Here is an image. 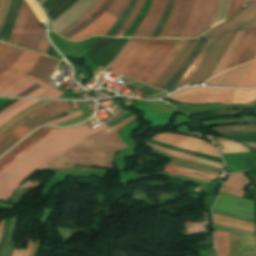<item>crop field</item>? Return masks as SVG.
<instances>
[{"instance_id":"obj_36","label":"crop field","mask_w":256,"mask_h":256,"mask_svg":"<svg viewBox=\"0 0 256 256\" xmlns=\"http://www.w3.org/2000/svg\"><path fill=\"white\" fill-rule=\"evenodd\" d=\"M172 104L185 110L188 114L200 113L202 111H210V110L221 108V105H218V104H210V105H185V104H177V103H172Z\"/></svg>"},{"instance_id":"obj_41","label":"crop field","mask_w":256,"mask_h":256,"mask_svg":"<svg viewBox=\"0 0 256 256\" xmlns=\"http://www.w3.org/2000/svg\"><path fill=\"white\" fill-rule=\"evenodd\" d=\"M229 2H230V0H220L219 8L217 10L212 28L215 27L216 25L224 22L226 14H227V10H228Z\"/></svg>"},{"instance_id":"obj_11","label":"crop field","mask_w":256,"mask_h":256,"mask_svg":"<svg viewBox=\"0 0 256 256\" xmlns=\"http://www.w3.org/2000/svg\"><path fill=\"white\" fill-rule=\"evenodd\" d=\"M151 140L220 157L217 150L210 143L188 136L159 133L151 138Z\"/></svg>"},{"instance_id":"obj_65","label":"crop field","mask_w":256,"mask_h":256,"mask_svg":"<svg viewBox=\"0 0 256 256\" xmlns=\"http://www.w3.org/2000/svg\"><path fill=\"white\" fill-rule=\"evenodd\" d=\"M3 221H4V220H2V221L0 222V237H1V232H2V228H3Z\"/></svg>"},{"instance_id":"obj_33","label":"crop field","mask_w":256,"mask_h":256,"mask_svg":"<svg viewBox=\"0 0 256 256\" xmlns=\"http://www.w3.org/2000/svg\"><path fill=\"white\" fill-rule=\"evenodd\" d=\"M33 82L27 80L26 78H22L20 81L9 87L8 89L4 90L0 93L1 96H16L22 91L26 90L30 86H32Z\"/></svg>"},{"instance_id":"obj_5","label":"crop field","mask_w":256,"mask_h":256,"mask_svg":"<svg viewBox=\"0 0 256 256\" xmlns=\"http://www.w3.org/2000/svg\"><path fill=\"white\" fill-rule=\"evenodd\" d=\"M40 54L12 47L0 60V92L26 75Z\"/></svg>"},{"instance_id":"obj_58","label":"crop field","mask_w":256,"mask_h":256,"mask_svg":"<svg viewBox=\"0 0 256 256\" xmlns=\"http://www.w3.org/2000/svg\"><path fill=\"white\" fill-rule=\"evenodd\" d=\"M222 108H234V109H239V108H243V109H256V107H252V106H222Z\"/></svg>"},{"instance_id":"obj_20","label":"crop field","mask_w":256,"mask_h":256,"mask_svg":"<svg viewBox=\"0 0 256 256\" xmlns=\"http://www.w3.org/2000/svg\"><path fill=\"white\" fill-rule=\"evenodd\" d=\"M57 64L58 61H54L52 58L42 55L29 75L48 83L50 81L48 77L56 68Z\"/></svg>"},{"instance_id":"obj_39","label":"crop field","mask_w":256,"mask_h":256,"mask_svg":"<svg viewBox=\"0 0 256 256\" xmlns=\"http://www.w3.org/2000/svg\"><path fill=\"white\" fill-rule=\"evenodd\" d=\"M50 101H47V100H41L33 105H31L30 107L20 111L19 113H17L14 117H12L9 121H7L5 124H3L1 127H0V133L5 130L6 128H8L10 125H12L14 122H16L18 119H20L24 114L34 110L35 108L41 106V105H44L46 103H48Z\"/></svg>"},{"instance_id":"obj_67","label":"crop field","mask_w":256,"mask_h":256,"mask_svg":"<svg viewBox=\"0 0 256 256\" xmlns=\"http://www.w3.org/2000/svg\"><path fill=\"white\" fill-rule=\"evenodd\" d=\"M23 252H24L23 250H20L18 256H22Z\"/></svg>"},{"instance_id":"obj_31","label":"crop field","mask_w":256,"mask_h":256,"mask_svg":"<svg viewBox=\"0 0 256 256\" xmlns=\"http://www.w3.org/2000/svg\"><path fill=\"white\" fill-rule=\"evenodd\" d=\"M242 33H243V31H237L235 37L233 38L232 42L230 43V45H229L227 51L225 52L223 58L221 57L222 58L221 61L218 63V65L212 71L210 77L220 73V71L223 68L224 64L226 63V61L228 60L229 56L231 55V53L233 52L234 48L236 47V45H237V43H238Z\"/></svg>"},{"instance_id":"obj_2","label":"crop field","mask_w":256,"mask_h":256,"mask_svg":"<svg viewBox=\"0 0 256 256\" xmlns=\"http://www.w3.org/2000/svg\"><path fill=\"white\" fill-rule=\"evenodd\" d=\"M127 147L119 137L111 130L90 137L70 149L57 158L51 160L40 170L46 167L66 169L73 166L64 165H91L113 169L112 156L119 150Z\"/></svg>"},{"instance_id":"obj_60","label":"crop field","mask_w":256,"mask_h":256,"mask_svg":"<svg viewBox=\"0 0 256 256\" xmlns=\"http://www.w3.org/2000/svg\"><path fill=\"white\" fill-rule=\"evenodd\" d=\"M32 244H33V241H32V240H29L28 245H27V247H26V249H25V252H24V256H27V255H28V253H29V251H30V249H31V247H32Z\"/></svg>"},{"instance_id":"obj_46","label":"crop field","mask_w":256,"mask_h":256,"mask_svg":"<svg viewBox=\"0 0 256 256\" xmlns=\"http://www.w3.org/2000/svg\"><path fill=\"white\" fill-rule=\"evenodd\" d=\"M242 3L243 0H231L226 20L234 15L237 11L241 10Z\"/></svg>"},{"instance_id":"obj_68","label":"crop field","mask_w":256,"mask_h":256,"mask_svg":"<svg viewBox=\"0 0 256 256\" xmlns=\"http://www.w3.org/2000/svg\"><path fill=\"white\" fill-rule=\"evenodd\" d=\"M2 4H3V0H0V12H1V8H2Z\"/></svg>"},{"instance_id":"obj_44","label":"crop field","mask_w":256,"mask_h":256,"mask_svg":"<svg viewBox=\"0 0 256 256\" xmlns=\"http://www.w3.org/2000/svg\"><path fill=\"white\" fill-rule=\"evenodd\" d=\"M143 3H144V0H138V1H137V3H136V5H135L134 9L132 10L130 16L128 17V19L126 20V22L123 24V26H122L121 29L119 30V32H120L121 30H124L123 33H122L121 35H118V34H119V32H118V34H117L116 36H123V34L126 32V30L130 27V25H131L133 19H134V18L136 17V15L139 13V11H140V9H141Z\"/></svg>"},{"instance_id":"obj_50","label":"crop field","mask_w":256,"mask_h":256,"mask_svg":"<svg viewBox=\"0 0 256 256\" xmlns=\"http://www.w3.org/2000/svg\"><path fill=\"white\" fill-rule=\"evenodd\" d=\"M166 167L168 168H173V169H178V170H182V171H186V172H190V173H194V174H199V175H203L212 179H215L217 176H213V175H209V174H205V173H201V172H197V171H193V170H189V169H185V168H181V167H177V166H173V165H169V164H165Z\"/></svg>"},{"instance_id":"obj_17","label":"crop field","mask_w":256,"mask_h":256,"mask_svg":"<svg viewBox=\"0 0 256 256\" xmlns=\"http://www.w3.org/2000/svg\"><path fill=\"white\" fill-rule=\"evenodd\" d=\"M188 40L185 46L181 49V51L176 55L173 61L169 64L166 70L161 74V76L154 82L152 85L155 88L161 89L165 83L171 78L174 72L182 65L185 58L191 52V50L196 45L197 41L199 40Z\"/></svg>"},{"instance_id":"obj_63","label":"crop field","mask_w":256,"mask_h":256,"mask_svg":"<svg viewBox=\"0 0 256 256\" xmlns=\"http://www.w3.org/2000/svg\"><path fill=\"white\" fill-rule=\"evenodd\" d=\"M52 1L54 0H46L43 4H41V6L44 8L46 5H48Z\"/></svg>"},{"instance_id":"obj_10","label":"crop field","mask_w":256,"mask_h":256,"mask_svg":"<svg viewBox=\"0 0 256 256\" xmlns=\"http://www.w3.org/2000/svg\"><path fill=\"white\" fill-rule=\"evenodd\" d=\"M256 54V30H245L222 71L253 60Z\"/></svg>"},{"instance_id":"obj_32","label":"crop field","mask_w":256,"mask_h":256,"mask_svg":"<svg viewBox=\"0 0 256 256\" xmlns=\"http://www.w3.org/2000/svg\"><path fill=\"white\" fill-rule=\"evenodd\" d=\"M219 256H228L229 233L214 231Z\"/></svg>"},{"instance_id":"obj_22","label":"crop field","mask_w":256,"mask_h":256,"mask_svg":"<svg viewBox=\"0 0 256 256\" xmlns=\"http://www.w3.org/2000/svg\"><path fill=\"white\" fill-rule=\"evenodd\" d=\"M208 38H201L196 45V47L193 49V51L190 53V55L187 57V59L184 61L183 65L175 72V74L172 76V78L166 83V85L162 88V90H166L168 93L174 91V86L176 82L179 80V78L183 75V73L186 71L192 60L195 58V56L198 54V52L201 50L203 45L206 43Z\"/></svg>"},{"instance_id":"obj_8","label":"crop field","mask_w":256,"mask_h":256,"mask_svg":"<svg viewBox=\"0 0 256 256\" xmlns=\"http://www.w3.org/2000/svg\"><path fill=\"white\" fill-rule=\"evenodd\" d=\"M232 93L233 90L191 88L178 92L168 98L188 103L214 102L231 104Z\"/></svg>"},{"instance_id":"obj_56","label":"crop field","mask_w":256,"mask_h":256,"mask_svg":"<svg viewBox=\"0 0 256 256\" xmlns=\"http://www.w3.org/2000/svg\"><path fill=\"white\" fill-rule=\"evenodd\" d=\"M11 48L10 45L0 43V58Z\"/></svg>"},{"instance_id":"obj_52","label":"crop field","mask_w":256,"mask_h":256,"mask_svg":"<svg viewBox=\"0 0 256 256\" xmlns=\"http://www.w3.org/2000/svg\"><path fill=\"white\" fill-rule=\"evenodd\" d=\"M165 171L173 172V173H178V174H183V175H187V176H190V177H193V178H198V179L205 180V181H207V182H209L210 180H212V179H209V178H206V177H203V176L194 175V174H189V173H185V172H181V171H177V170H173V169H168V168H166Z\"/></svg>"},{"instance_id":"obj_28","label":"crop field","mask_w":256,"mask_h":256,"mask_svg":"<svg viewBox=\"0 0 256 256\" xmlns=\"http://www.w3.org/2000/svg\"><path fill=\"white\" fill-rule=\"evenodd\" d=\"M112 2H113V0H106L104 2V4L91 17H89L86 21H84L82 24H80L73 31L66 34L64 37L69 39L72 36H74L76 33H78L79 31L84 29L86 26H88L90 23H92L94 20H96L106 9H108Z\"/></svg>"},{"instance_id":"obj_15","label":"crop field","mask_w":256,"mask_h":256,"mask_svg":"<svg viewBox=\"0 0 256 256\" xmlns=\"http://www.w3.org/2000/svg\"><path fill=\"white\" fill-rule=\"evenodd\" d=\"M168 0H153L151 7L143 22L133 37H150Z\"/></svg>"},{"instance_id":"obj_27","label":"crop field","mask_w":256,"mask_h":256,"mask_svg":"<svg viewBox=\"0 0 256 256\" xmlns=\"http://www.w3.org/2000/svg\"><path fill=\"white\" fill-rule=\"evenodd\" d=\"M222 216V215H221ZM213 214L214 223L255 232L254 224L245 223Z\"/></svg>"},{"instance_id":"obj_21","label":"crop field","mask_w":256,"mask_h":256,"mask_svg":"<svg viewBox=\"0 0 256 256\" xmlns=\"http://www.w3.org/2000/svg\"><path fill=\"white\" fill-rule=\"evenodd\" d=\"M215 40H216V38H209V40L204 45L202 50L199 52V54L197 55L195 60L192 62L190 67L187 69V71L185 72L183 77L180 79V81L176 85L175 89H178V88H181V87H184V86L188 85L191 77L193 76V74L195 73V71L197 70V68L199 67V65L201 64V62L205 58V56L207 55L208 51L210 50V48L214 44Z\"/></svg>"},{"instance_id":"obj_51","label":"crop field","mask_w":256,"mask_h":256,"mask_svg":"<svg viewBox=\"0 0 256 256\" xmlns=\"http://www.w3.org/2000/svg\"><path fill=\"white\" fill-rule=\"evenodd\" d=\"M49 44H50V43H49V41L47 40V38H46V36H45V31H44L43 36H42V38H41V41H40V43H39V46H38V48H37V51L45 53V51H46V49L48 48Z\"/></svg>"},{"instance_id":"obj_6","label":"crop field","mask_w":256,"mask_h":256,"mask_svg":"<svg viewBox=\"0 0 256 256\" xmlns=\"http://www.w3.org/2000/svg\"><path fill=\"white\" fill-rule=\"evenodd\" d=\"M31 12L23 0L9 41L35 50L44 29Z\"/></svg>"},{"instance_id":"obj_7","label":"crop field","mask_w":256,"mask_h":256,"mask_svg":"<svg viewBox=\"0 0 256 256\" xmlns=\"http://www.w3.org/2000/svg\"><path fill=\"white\" fill-rule=\"evenodd\" d=\"M72 110V108L65 103L64 101L53 106L52 108L30 118L27 122H25L22 126L33 130L35 127H37L39 124L47 121L48 119L63 114L65 112H68ZM20 126L19 128H17L16 130H14L13 132H11L10 134L18 137V138H22L24 137L28 132H30V130L24 128ZM7 135L6 137H4L3 139L0 140V154L5 151L7 148H9L11 145H13L15 142H17L18 138L12 136V135Z\"/></svg>"},{"instance_id":"obj_25","label":"crop field","mask_w":256,"mask_h":256,"mask_svg":"<svg viewBox=\"0 0 256 256\" xmlns=\"http://www.w3.org/2000/svg\"><path fill=\"white\" fill-rule=\"evenodd\" d=\"M39 100H31V99H21L14 104L8 106L7 109L3 110L0 113V126L7 121L9 118H11L13 115H15L20 110L30 106L31 104L37 102Z\"/></svg>"},{"instance_id":"obj_16","label":"crop field","mask_w":256,"mask_h":256,"mask_svg":"<svg viewBox=\"0 0 256 256\" xmlns=\"http://www.w3.org/2000/svg\"><path fill=\"white\" fill-rule=\"evenodd\" d=\"M218 3L219 0H203L190 38L209 30L216 13Z\"/></svg>"},{"instance_id":"obj_9","label":"crop field","mask_w":256,"mask_h":256,"mask_svg":"<svg viewBox=\"0 0 256 256\" xmlns=\"http://www.w3.org/2000/svg\"><path fill=\"white\" fill-rule=\"evenodd\" d=\"M129 0H114L111 7L104 12V14L119 18L125 9ZM102 14L96 21H94L87 28L72 37V40H80L93 35H104L106 31L114 24L117 18Z\"/></svg>"},{"instance_id":"obj_30","label":"crop field","mask_w":256,"mask_h":256,"mask_svg":"<svg viewBox=\"0 0 256 256\" xmlns=\"http://www.w3.org/2000/svg\"><path fill=\"white\" fill-rule=\"evenodd\" d=\"M61 101H52L32 112H30L29 114L23 116L20 120H18L16 123H14L12 126H10L8 129H6L5 131H3L1 134H0V139L3 138L4 136H6L7 134H9L11 131H13L14 129H16L18 126H20L21 124H23L25 121H27L30 117L50 108L51 106L59 103Z\"/></svg>"},{"instance_id":"obj_59","label":"crop field","mask_w":256,"mask_h":256,"mask_svg":"<svg viewBox=\"0 0 256 256\" xmlns=\"http://www.w3.org/2000/svg\"><path fill=\"white\" fill-rule=\"evenodd\" d=\"M44 91H46V90L41 87V88L37 89L36 91L30 93V94L27 95V96L35 97V96L41 94V93L44 92Z\"/></svg>"},{"instance_id":"obj_35","label":"crop field","mask_w":256,"mask_h":256,"mask_svg":"<svg viewBox=\"0 0 256 256\" xmlns=\"http://www.w3.org/2000/svg\"><path fill=\"white\" fill-rule=\"evenodd\" d=\"M137 0H130L126 9L122 13L121 17L116 21V23L110 28V30L105 34L106 36H115V34L118 32L124 21L129 16L134 4Z\"/></svg>"},{"instance_id":"obj_29","label":"crop field","mask_w":256,"mask_h":256,"mask_svg":"<svg viewBox=\"0 0 256 256\" xmlns=\"http://www.w3.org/2000/svg\"><path fill=\"white\" fill-rule=\"evenodd\" d=\"M216 141L220 144V146H222V148H220L222 153L249 152V149L240 143L229 141L220 137H218Z\"/></svg>"},{"instance_id":"obj_48","label":"crop field","mask_w":256,"mask_h":256,"mask_svg":"<svg viewBox=\"0 0 256 256\" xmlns=\"http://www.w3.org/2000/svg\"><path fill=\"white\" fill-rule=\"evenodd\" d=\"M15 244L12 241H6L0 256H11Z\"/></svg>"},{"instance_id":"obj_1","label":"crop field","mask_w":256,"mask_h":256,"mask_svg":"<svg viewBox=\"0 0 256 256\" xmlns=\"http://www.w3.org/2000/svg\"><path fill=\"white\" fill-rule=\"evenodd\" d=\"M106 129L108 127L104 124L91 130L84 124L73 128L59 129L33 146L0 172V200L6 201L15 189L48 161L81 140Z\"/></svg>"},{"instance_id":"obj_54","label":"crop field","mask_w":256,"mask_h":256,"mask_svg":"<svg viewBox=\"0 0 256 256\" xmlns=\"http://www.w3.org/2000/svg\"><path fill=\"white\" fill-rule=\"evenodd\" d=\"M9 3H10V0H5V2H4L2 13L0 16V29H1L2 23L4 21V18L6 16V13H7L8 7H9Z\"/></svg>"},{"instance_id":"obj_18","label":"crop field","mask_w":256,"mask_h":256,"mask_svg":"<svg viewBox=\"0 0 256 256\" xmlns=\"http://www.w3.org/2000/svg\"><path fill=\"white\" fill-rule=\"evenodd\" d=\"M251 64L252 63H248L226 71L206 82V85L235 87L245 75Z\"/></svg>"},{"instance_id":"obj_53","label":"crop field","mask_w":256,"mask_h":256,"mask_svg":"<svg viewBox=\"0 0 256 256\" xmlns=\"http://www.w3.org/2000/svg\"><path fill=\"white\" fill-rule=\"evenodd\" d=\"M63 93H61L58 90H49L46 91L45 93H43L42 95H40L39 97H52V98H58L60 95H62Z\"/></svg>"},{"instance_id":"obj_24","label":"crop field","mask_w":256,"mask_h":256,"mask_svg":"<svg viewBox=\"0 0 256 256\" xmlns=\"http://www.w3.org/2000/svg\"><path fill=\"white\" fill-rule=\"evenodd\" d=\"M21 3L22 0H11L7 16L0 31V39H5L7 41L9 40L10 33Z\"/></svg>"},{"instance_id":"obj_14","label":"crop field","mask_w":256,"mask_h":256,"mask_svg":"<svg viewBox=\"0 0 256 256\" xmlns=\"http://www.w3.org/2000/svg\"><path fill=\"white\" fill-rule=\"evenodd\" d=\"M146 41L147 39H130L115 61L109 66L112 69L110 73L118 76L136 57Z\"/></svg>"},{"instance_id":"obj_26","label":"crop field","mask_w":256,"mask_h":256,"mask_svg":"<svg viewBox=\"0 0 256 256\" xmlns=\"http://www.w3.org/2000/svg\"><path fill=\"white\" fill-rule=\"evenodd\" d=\"M147 145H149L151 148L158 149L160 151L169 153V154L177 156V157H181V158H184V159L200 162V163L207 164V165L217 167V168H220V169L222 167V164H220V163L212 162V161L202 159V158L192 157V156L185 155V154H182V153H179V152H176V151H172V150H169V149L157 146V145H153V144H150V143H147Z\"/></svg>"},{"instance_id":"obj_4","label":"crop field","mask_w":256,"mask_h":256,"mask_svg":"<svg viewBox=\"0 0 256 256\" xmlns=\"http://www.w3.org/2000/svg\"><path fill=\"white\" fill-rule=\"evenodd\" d=\"M242 29H256V3L244 9L233 19L201 36L218 38L192 77L191 84H198L208 78L213 68L223 56L236 31Z\"/></svg>"},{"instance_id":"obj_66","label":"crop field","mask_w":256,"mask_h":256,"mask_svg":"<svg viewBox=\"0 0 256 256\" xmlns=\"http://www.w3.org/2000/svg\"><path fill=\"white\" fill-rule=\"evenodd\" d=\"M18 251H19V250L15 249L14 252H13V254H12V256H17Z\"/></svg>"},{"instance_id":"obj_62","label":"crop field","mask_w":256,"mask_h":256,"mask_svg":"<svg viewBox=\"0 0 256 256\" xmlns=\"http://www.w3.org/2000/svg\"><path fill=\"white\" fill-rule=\"evenodd\" d=\"M246 144L247 146L253 148V149H256V143H244Z\"/></svg>"},{"instance_id":"obj_19","label":"crop field","mask_w":256,"mask_h":256,"mask_svg":"<svg viewBox=\"0 0 256 256\" xmlns=\"http://www.w3.org/2000/svg\"><path fill=\"white\" fill-rule=\"evenodd\" d=\"M194 0H182L178 13L167 37L180 38L190 17Z\"/></svg>"},{"instance_id":"obj_45","label":"crop field","mask_w":256,"mask_h":256,"mask_svg":"<svg viewBox=\"0 0 256 256\" xmlns=\"http://www.w3.org/2000/svg\"><path fill=\"white\" fill-rule=\"evenodd\" d=\"M180 2H181V0H176V1H175V4H174L173 10H172V13H171V15H170V17H169V19H168L166 25H165V27H164V29H163V31H162L160 37H162V38H165V37H166V35H167L169 29H170L171 26H172V23H173V21H174L175 15H176L177 10H178V8H179Z\"/></svg>"},{"instance_id":"obj_47","label":"crop field","mask_w":256,"mask_h":256,"mask_svg":"<svg viewBox=\"0 0 256 256\" xmlns=\"http://www.w3.org/2000/svg\"><path fill=\"white\" fill-rule=\"evenodd\" d=\"M25 1L30 6V8L32 9L33 13L37 17V19L40 21V23H42L45 17L42 14L41 10L38 8V6L35 4V2L33 0H25Z\"/></svg>"},{"instance_id":"obj_69","label":"crop field","mask_w":256,"mask_h":256,"mask_svg":"<svg viewBox=\"0 0 256 256\" xmlns=\"http://www.w3.org/2000/svg\"><path fill=\"white\" fill-rule=\"evenodd\" d=\"M255 59H256V57H255ZM255 59H254V60H255Z\"/></svg>"},{"instance_id":"obj_57","label":"crop field","mask_w":256,"mask_h":256,"mask_svg":"<svg viewBox=\"0 0 256 256\" xmlns=\"http://www.w3.org/2000/svg\"><path fill=\"white\" fill-rule=\"evenodd\" d=\"M24 77L28 78L29 80H31V81H33V82H35V83H37V84H39V85H41V86L47 88V89L52 88L51 86H49V85H47V84H45V83H43V82H41V81H39V80H37V79H35V78L29 77V76H27V75L24 76ZM47 89H46V90H47Z\"/></svg>"},{"instance_id":"obj_34","label":"crop field","mask_w":256,"mask_h":256,"mask_svg":"<svg viewBox=\"0 0 256 256\" xmlns=\"http://www.w3.org/2000/svg\"><path fill=\"white\" fill-rule=\"evenodd\" d=\"M105 0H98L89 10H87L80 18H78L76 21H74L72 24H70L68 27L63 29L58 34L65 35L66 33L70 32L72 29H74L76 26H78L80 23H82L84 20H86L90 15H92L104 2Z\"/></svg>"},{"instance_id":"obj_43","label":"crop field","mask_w":256,"mask_h":256,"mask_svg":"<svg viewBox=\"0 0 256 256\" xmlns=\"http://www.w3.org/2000/svg\"><path fill=\"white\" fill-rule=\"evenodd\" d=\"M173 4H174V0H169L168 3H167V6H166V9L158 23V25L156 26L154 32L152 33L151 37H158L161 29L163 28L171 10H172V7H173Z\"/></svg>"},{"instance_id":"obj_42","label":"crop field","mask_w":256,"mask_h":256,"mask_svg":"<svg viewBox=\"0 0 256 256\" xmlns=\"http://www.w3.org/2000/svg\"><path fill=\"white\" fill-rule=\"evenodd\" d=\"M201 2H202V0H196L193 11H192V14H191V17H190V20H189V23H188V25H187V27H186L183 35H182V38H189L190 37L192 28L194 26V23H195V20H196V17H197V14H198V11H199V8H200V5H201Z\"/></svg>"},{"instance_id":"obj_3","label":"crop field","mask_w":256,"mask_h":256,"mask_svg":"<svg viewBox=\"0 0 256 256\" xmlns=\"http://www.w3.org/2000/svg\"><path fill=\"white\" fill-rule=\"evenodd\" d=\"M185 42L186 40L149 39L143 50L122 74L151 85L165 70Z\"/></svg>"},{"instance_id":"obj_64","label":"crop field","mask_w":256,"mask_h":256,"mask_svg":"<svg viewBox=\"0 0 256 256\" xmlns=\"http://www.w3.org/2000/svg\"><path fill=\"white\" fill-rule=\"evenodd\" d=\"M8 99L6 98H0V105H2L4 102H6Z\"/></svg>"},{"instance_id":"obj_23","label":"crop field","mask_w":256,"mask_h":256,"mask_svg":"<svg viewBox=\"0 0 256 256\" xmlns=\"http://www.w3.org/2000/svg\"><path fill=\"white\" fill-rule=\"evenodd\" d=\"M249 183L250 182L245 178V176L241 172L234 173L229 175L221 191L243 197V189Z\"/></svg>"},{"instance_id":"obj_61","label":"crop field","mask_w":256,"mask_h":256,"mask_svg":"<svg viewBox=\"0 0 256 256\" xmlns=\"http://www.w3.org/2000/svg\"><path fill=\"white\" fill-rule=\"evenodd\" d=\"M255 1L254 0H244L243 7L245 8V7H247L248 5L252 4Z\"/></svg>"},{"instance_id":"obj_38","label":"crop field","mask_w":256,"mask_h":256,"mask_svg":"<svg viewBox=\"0 0 256 256\" xmlns=\"http://www.w3.org/2000/svg\"><path fill=\"white\" fill-rule=\"evenodd\" d=\"M152 0H146L140 13L138 14L137 18L135 19V21L133 22L132 26L129 28V30L126 32V34L124 35V37H132V35L134 34V32L136 31V29L138 28V26L140 25V23L142 22L143 18L145 17L150 4H151Z\"/></svg>"},{"instance_id":"obj_40","label":"crop field","mask_w":256,"mask_h":256,"mask_svg":"<svg viewBox=\"0 0 256 256\" xmlns=\"http://www.w3.org/2000/svg\"><path fill=\"white\" fill-rule=\"evenodd\" d=\"M239 87H256V61L252 64L244 78L238 84Z\"/></svg>"},{"instance_id":"obj_37","label":"crop field","mask_w":256,"mask_h":256,"mask_svg":"<svg viewBox=\"0 0 256 256\" xmlns=\"http://www.w3.org/2000/svg\"><path fill=\"white\" fill-rule=\"evenodd\" d=\"M253 100H256V91L234 90L232 104L246 103Z\"/></svg>"},{"instance_id":"obj_12","label":"crop field","mask_w":256,"mask_h":256,"mask_svg":"<svg viewBox=\"0 0 256 256\" xmlns=\"http://www.w3.org/2000/svg\"><path fill=\"white\" fill-rule=\"evenodd\" d=\"M214 208L237 215L254 218L253 201L244 198L241 199L222 192L220 193Z\"/></svg>"},{"instance_id":"obj_49","label":"crop field","mask_w":256,"mask_h":256,"mask_svg":"<svg viewBox=\"0 0 256 256\" xmlns=\"http://www.w3.org/2000/svg\"><path fill=\"white\" fill-rule=\"evenodd\" d=\"M79 115H81V113H80L79 111H77V112H74V113H72V114H70V115H67V116L63 117V118H59V119H56V120H54V121L48 122V123H46V124L57 125V124H59V123H62V122H64V121H67V120H69V119H71V118H74V117H76V116H79Z\"/></svg>"},{"instance_id":"obj_13","label":"crop field","mask_w":256,"mask_h":256,"mask_svg":"<svg viewBox=\"0 0 256 256\" xmlns=\"http://www.w3.org/2000/svg\"><path fill=\"white\" fill-rule=\"evenodd\" d=\"M58 129L54 128H41L27 137L23 142L5 154L2 158H0V171L5 168L8 164L14 161L17 157H19L22 153L28 150L30 147L38 143L41 139L49 136L53 132Z\"/></svg>"},{"instance_id":"obj_55","label":"crop field","mask_w":256,"mask_h":256,"mask_svg":"<svg viewBox=\"0 0 256 256\" xmlns=\"http://www.w3.org/2000/svg\"><path fill=\"white\" fill-rule=\"evenodd\" d=\"M136 118L135 115L131 116L130 118L126 119L125 121L119 123L118 125L112 127L115 131L118 130L120 127L124 126L125 124H127L128 122L134 120Z\"/></svg>"}]
</instances>
